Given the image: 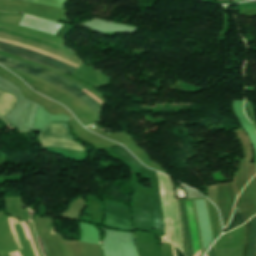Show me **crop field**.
Instances as JSON below:
<instances>
[{
    "label": "crop field",
    "instance_id": "obj_1",
    "mask_svg": "<svg viewBox=\"0 0 256 256\" xmlns=\"http://www.w3.org/2000/svg\"><path fill=\"white\" fill-rule=\"evenodd\" d=\"M159 190L164 218V226L166 237L164 240L166 242L174 243V245L183 252L179 218L176 206V198L172 189L171 179L157 172ZM177 249L178 256H185ZM175 253L176 249L174 247ZM174 253V254H175ZM184 253V252H183ZM177 256V253H176Z\"/></svg>",
    "mask_w": 256,
    "mask_h": 256
},
{
    "label": "crop field",
    "instance_id": "obj_2",
    "mask_svg": "<svg viewBox=\"0 0 256 256\" xmlns=\"http://www.w3.org/2000/svg\"><path fill=\"white\" fill-rule=\"evenodd\" d=\"M0 61H2V62H7V63H11V64H15V65H17V66L23 67V68L28 69V70H30V71L36 72V73H38V74H41V75L50 77V78H52V79H54V80H56V81H58V82H60V83H62V84H64V85L68 86L69 88L73 89L74 91L78 92V93L81 94L83 97H85L89 102H91L95 107H97L99 110L101 109V106H102V105H100V104H101V101L98 100V99H97L94 95H92L89 91H87V90L84 89L83 87H81V86H79V85H77V84H75V83H72V82H70V81H68V80H66V79H64V78H62V77H60V76H58V75H56V74L50 72V71H47V70H45V69H42V68H39V67H36V66L29 65V64H26V63H23V62H20V61H16V60H13V59H10V58H7V57H3V56H0ZM2 62H0L1 65H4V66L10 67V68H13V69H15V70H18V71L27 73V74L32 75V76H35V77H38V78H40V79H42V80H44V81H47V82H49V83H51V84H53V85H55V86H57V87H60V88H62V89H64V90H66V91L72 93L73 95H75L76 97H78L81 101H83V102H84L89 108H91L95 113L98 114V113L100 112V111H99L98 109H96L91 103H89L85 98H83L81 95L77 94V93L74 92L73 90L67 88L66 86H64V85H62V84H60V83H58V82H56V81H54V80H52V79H50V78H47V77L38 75V74H36V73L30 72V71H28V70H25V69H23V68L17 67V66H15V65L7 64V63H2ZM81 88H83V89H81ZM80 89H81L82 91H84L86 94H88L89 96H91L93 99H95V100H96L97 102H99L100 104L97 103V102H96L95 100H93L92 98H90L88 95H86V94H85L84 92H82Z\"/></svg>",
    "mask_w": 256,
    "mask_h": 256
},
{
    "label": "crop field",
    "instance_id": "obj_3",
    "mask_svg": "<svg viewBox=\"0 0 256 256\" xmlns=\"http://www.w3.org/2000/svg\"><path fill=\"white\" fill-rule=\"evenodd\" d=\"M40 136L74 139L69 134L67 124L63 123H48L46 129ZM47 137H39L43 147L46 149L82 152L83 145L76 143L74 140Z\"/></svg>",
    "mask_w": 256,
    "mask_h": 256
},
{
    "label": "crop field",
    "instance_id": "obj_4",
    "mask_svg": "<svg viewBox=\"0 0 256 256\" xmlns=\"http://www.w3.org/2000/svg\"><path fill=\"white\" fill-rule=\"evenodd\" d=\"M0 47L1 48H4V49H8V50H12V51H15V52H19V53H22V54H25L27 56H30V57H33V58H36V59H39L41 61H44V62H47L49 64H52V65H55L57 67H60V68H63V69H66L70 72H72L73 70H75V68L71 67V66H68L66 64H63L59 61H56L52 58H49V57H46V56H43V55H40V54H37V53H34V52H31V51H28V50H25V49H22V48H18V47H14V46H11V45H7V44H3V43H0ZM4 49H0V51H3V52H7V53H11V54H15L21 58H25V59H28V60H32V61H36V62H39V63H43V64H46V65H49L47 63H44V62H41L39 60H36V59H33V58H30V57H27L25 55H22V54H19V53H15V52H11V51H8V50H4ZM50 65V66H52ZM53 66V67H55ZM55 67V68H57ZM58 68V69H60ZM63 69H60L64 72H67ZM69 73V72H67Z\"/></svg>",
    "mask_w": 256,
    "mask_h": 256
},
{
    "label": "crop field",
    "instance_id": "obj_5",
    "mask_svg": "<svg viewBox=\"0 0 256 256\" xmlns=\"http://www.w3.org/2000/svg\"><path fill=\"white\" fill-rule=\"evenodd\" d=\"M19 25L38 29L53 34L55 36L63 26L62 24L59 23L49 22L46 20L34 18L29 15H25Z\"/></svg>",
    "mask_w": 256,
    "mask_h": 256
},
{
    "label": "crop field",
    "instance_id": "obj_6",
    "mask_svg": "<svg viewBox=\"0 0 256 256\" xmlns=\"http://www.w3.org/2000/svg\"><path fill=\"white\" fill-rule=\"evenodd\" d=\"M180 204H181V208H182V214H183L184 225H185V230H186V235H187V241H188V246H189V252H190V256H193V255H194V252H193L192 241H191V236H190V231H189V226H188V221H187V215H186L185 205H184V202H182V203H180ZM180 204L178 203V210H179V217H180V224H181L182 236H183V241H184V249H185L186 256H189L188 246H187V241H186V235H185V230H184V225H183V219H182ZM200 254H201V250L199 249L198 252H197L194 256H199Z\"/></svg>",
    "mask_w": 256,
    "mask_h": 256
},
{
    "label": "crop field",
    "instance_id": "obj_7",
    "mask_svg": "<svg viewBox=\"0 0 256 256\" xmlns=\"http://www.w3.org/2000/svg\"><path fill=\"white\" fill-rule=\"evenodd\" d=\"M16 101V97L0 91V116L3 117L12 109Z\"/></svg>",
    "mask_w": 256,
    "mask_h": 256
},
{
    "label": "crop field",
    "instance_id": "obj_8",
    "mask_svg": "<svg viewBox=\"0 0 256 256\" xmlns=\"http://www.w3.org/2000/svg\"><path fill=\"white\" fill-rule=\"evenodd\" d=\"M238 207H239V206H238ZM238 207H237V203H236L235 209H234V212H233V217H232V219H231L229 225L227 226L225 232H227V231H229V230H231V229H234V228H236V227H238V226L244 224V223H243L242 216H241V214H240V211H239ZM225 232H224V233H225Z\"/></svg>",
    "mask_w": 256,
    "mask_h": 256
},
{
    "label": "crop field",
    "instance_id": "obj_9",
    "mask_svg": "<svg viewBox=\"0 0 256 256\" xmlns=\"http://www.w3.org/2000/svg\"><path fill=\"white\" fill-rule=\"evenodd\" d=\"M251 220H252V232H251L248 256H256V215L252 217Z\"/></svg>",
    "mask_w": 256,
    "mask_h": 256
},
{
    "label": "crop field",
    "instance_id": "obj_10",
    "mask_svg": "<svg viewBox=\"0 0 256 256\" xmlns=\"http://www.w3.org/2000/svg\"><path fill=\"white\" fill-rule=\"evenodd\" d=\"M250 231H251V220H249L244 224L245 246H244L243 256H247L248 254Z\"/></svg>",
    "mask_w": 256,
    "mask_h": 256
},
{
    "label": "crop field",
    "instance_id": "obj_11",
    "mask_svg": "<svg viewBox=\"0 0 256 256\" xmlns=\"http://www.w3.org/2000/svg\"><path fill=\"white\" fill-rule=\"evenodd\" d=\"M237 202H238V204H239V206H240V208H241V211H242V213H243L244 222H246V221H247L248 219H250V218H249V216H248V214H247V212H246V208H245L244 202H243V200H242V198H241L240 195H239V197H238V199H237Z\"/></svg>",
    "mask_w": 256,
    "mask_h": 256
},
{
    "label": "crop field",
    "instance_id": "obj_12",
    "mask_svg": "<svg viewBox=\"0 0 256 256\" xmlns=\"http://www.w3.org/2000/svg\"><path fill=\"white\" fill-rule=\"evenodd\" d=\"M207 256V255H206ZM208 256H211V251L208 252ZM212 256H214V246L212 247Z\"/></svg>",
    "mask_w": 256,
    "mask_h": 256
},
{
    "label": "crop field",
    "instance_id": "obj_13",
    "mask_svg": "<svg viewBox=\"0 0 256 256\" xmlns=\"http://www.w3.org/2000/svg\"><path fill=\"white\" fill-rule=\"evenodd\" d=\"M15 254H16V256H20V254L18 253V251H15ZM10 256H15V255H14V253L12 252V253H10Z\"/></svg>",
    "mask_w": 256,
    "mask_h": 256
},
{
    "label": "crop field",
    "instance_id": "obj_14",
    "mask_svg": "<svg viewBox=\"0 0 256 256\" xmlns=\"http://www.w3.org/2000/svg\"><path fill=\"white\" fill-rule=\"evenodd\" d=\"M12 234H13V236H14V233H12ZM14 238H15V236H14ZM15 240H16V238H15ZM16 242H17V240H16ZM17 245H18V243H17ZM18 248L20 249L19 245H18Z\"/></svg>",
    "mask_w": 256,
    "mask_h": 256
}]
</instances>
